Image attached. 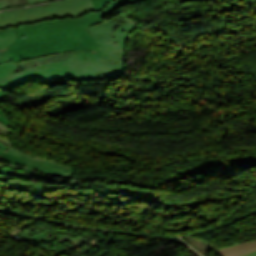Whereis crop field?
<instances>
[{"label":"crop field","mask_w":256,"mask_h":256,"mask_svg":"<svg viewBox=\"0 0 256 256\" xmlns=\"http://www.w3.org/2000/svg\"><path fill=\"white\" fill-rule=\"evenodd\" d=\"M140 1L144 0H115L104 10L85 16L13 27L19 38L5 51L19 63L48 54L99 47L85 27L103 22L100 18L128 3Z\"/></svg>","instance_id":"1"},{"label":"crop field","mask_w":256,"mask_h":256,"mask_svg":"<svg viewBox=\"0 0 256 256\" xmlns=\"http://www.w3.org/2000/svg\"><path fill=\"white\" fill-rule=\"evenodd\" d=\"M87 29L100 48L92 49L96 59L65 62L70 79L85 81L125 76L127 38L137 27L119 14Z\"/></svg>","instance_id":"2"},{"label":"crop field","mask_w":256,"mask_h":256,"mask_svg":"<svg viewBox=\"0 0 256 256\" xmlns=\"http://www.w3.org/2000/svg\"><path fill=\"white\" fill-rule=\"evenodd\" d=\"M90 58H95V53L87 49L48 55L19 64H1L0 88L9 90L28 81L69 77L64 61Z\"/></svg>","instance_id":"3"},{"label":"crop field","mask_w":256,"mask_h":256,"mask_svg":"<svg viewBox=\"0 0 256 256\" xmlns=\"http://www.w3.org/2000/svg\"><path fill=\"white\" fill-rule=\"evenodd\" d=\"M113 0H80L51 7L20 9L0 13V28L19 26L36 21L67 18L100 11Z\"/></svg>","instance_id":"4"},{"label":"crop field","mask_w":256,"mask_h":256,"mask_svg":"<svg viewBox=\"0 0 256 256\" xmlns=\"http://www.w3.org/2000/svg\"><path fill=\"white\" fill-rule=\"evenodd\" d=\"M0 159L13 164H0L2 166L32 173L33 176L46 180H54V176L69 178L75 170V167H66L40 157L33 158L13 148L0 155Z\"/></svg>","instance_id":"5"},{"label":"crop field","mask_w":256,"mask_h":256,"mask_svg":"<svg viewBox=\"0 0 256 256\" xmlns=\"http://www.w3.org/2000/svg\"><path fill=\"white\" fill-rule=\"evenodd\" d=\"M16 33L12 28L0 29V63L10 61V56L3 50L17 39Z\"/></svg>","instance_id":"6"},{"label":"crop field","mask_w":256,"mask_h":256,"mask_svg":"<svg viewBox=\"0 0 256 256\" xmlns=\"http://www.w3.org/2000/svg\"><path fill=\"white\" fill-rule=\"evenodd\" d=\"M256 249V241L218 249L220 256H238Z\"/></svg>","instance_id":"7"},{"label":"crop field","mask_w":256,"mask_h":256,"mask_svg":"<svg viewBox=\"0 0 256 256\" xmlns=\"http://www.w3.org/2000/svg\"><path fill=\"white\" fill-rule=\"evenodd\" d=\"M12 131V129L4 126L3 124L0 123V142L12 147L13 142L9 140L8 135L10 134V132Z\"/></svg>","instance_id":"8"},{"label":"crop field","mask_w":256,"mask_h":256,"mask_svg":"<svg viewBox=\"0 0 256 256\" xmlns=\"http://www.w3.org/2000/svg\"><path fill=\"white\" fill-rule=\"evenodd\" d=\"M4 93L3 91H0V99L3 97ZM0 122L3 123L4 125L14 129L16 128L15 126H13L10 121L7 119V117L2 113V111L0 110Z\"/></svg>","instance_id":"9"},{"label":"crop field","mask_w":256,"mask_h":256,"mask_svg":"<svg viewBox=\"0 0 256 256\" xmlns=\"http://www.w3.org/2000/svg\"><path fill=\"white\" fill-rule=\"evenodd\" d=\"M26 4H35V3H40V2H45V1H49V0H25Z\"/></svg>","instance_id":"10"},{"label":"crop field","mask_w":256,"mask_h":256,"mask_svg":"<svg viewBox=\"0 0 256 256\" xmlns=\"http://www.w3.org/2000/svg\"><path fill=\"white\" fill-rule=\"evenodd\" d=\"M243 256H256V251L255 252H251V253H248V254H245Z\"/></svg>","instance_id":"11"},{"label":"crop field","mask_w":256,"mask_h":256,"mask_svg":"<svg viewBox=\"0 0 256 256\" xmlns=\"http://www.w3.org/2000/svg\"><path fill=\"white\" fill-rule=\"evenodd\" d=\"M0 149H2V150L5 151L6 149H8V147H6L5 145H3V144L0 143Z\"/></svg>","instance_id":"12"},{"label":"crop field","mask_w":256,"mask_h":256,"mask_svg":"<svg viewBox=\"0 0 256 256\" xmlns=\"http://www.w3.org/2000/svg\"><path fill=\"white\" fill-rule=\"evenodd\" d=\"M65 1H70V0H61V1L54 2L52 4H57V3L65 2ZM48 5H51V4H48Z\"/></svg>","instance_id":"13"},{"label":"crop field","mask_w":256,"mask_h":256,"mask_svg":"<svg viewBox=\"0 0 256 256\" xmlns=\"http://www.w3.org/2000/svg\"><path fill=\"white\" fill-rule=\"evenodd\" d=\"M4 151L0 150V154L3 153Z\"/></svg>","instance_id":"14"}]
</instances>
